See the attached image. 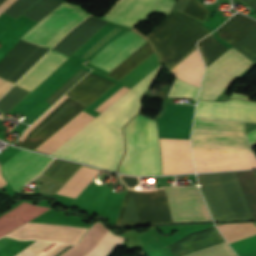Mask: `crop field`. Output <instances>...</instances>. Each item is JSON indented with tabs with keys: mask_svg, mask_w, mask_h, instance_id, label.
<instances>
[{
	"mask_svg": "<svg viewBox=\"0 0 256 256\" xmlns=\"http://www.w3.org/2000/svg\"><path fill=\"white\" fill-rule=\"evenodd\" d=\"M160 69L161 66L157 67L52 155L115 171L124 154L122 127L142 109L140 94Z\"/></svg>",
	"mask_w": 256,
	"mask_h": 256,
	"instance_id": "1",
	"label": "crop field"
},
{
	"mask_svg": "<svg viewBox=\"0 0 256 256\" xmlns=\"http://www.w3.org/2000/svg\"><path fill=\"white\" fill-rule=\"evenodd\" d=\"M191 146L252 152L244 122L195 118ZM192 148L197 172L256 168L253 153Z\"/></svg>",
	"mask_w": 256,
	"mask_h": 256,
	"instance_id": "2",
	"label": "crop field"
},
{
	"mask_svg": "<svg viewBox=\"0 0 256 256\" xmlns=\"http://www.w3.org/2000/svg\"><path fill=\"white\" fill-rule=\"evenodd\" d=\"M89 15L90 14L88 12L84 11L80 7L64 2L29 30L21 40L51 49L66 32ZM21 40H19L0 61V77L5 80H7L27 59V57L38 48V46ZM41 47L35 50L28 57L20 68L8 79V81L15 83L49 51V49ZM1 78L0 85L5 82V80ZM8 81L0 86V96H2L13 85V83Z\"/></svg>",
	"mask_w": 256,
	"mask_h": 256,
	"instance_id": "3",
	"label": "crop field"
},
{
	"mask_svg": "<svg viewBox=\"0 0 256 256\" xmlns=\"http://www.w3.org/2000/svg\"><path fill=\"white\" fill-rule=\"evenodd\" d=\"M174 9L202 22L209 12L197 0H178ZM209 33L201 23L172 11L149 37L169 70L196 47L197 40Z\"/></svg>",
	"mask_w": 256,
	"mask_h": 256,
	"instance_id": "4",
	"label": "crop field"
},
{
	"mask_svg": "<svg viewBox=\"0 0 256 256\" xmlns=\"http://www.w3.org/2000/svg\"><path fill=\"white\" fill-rule=\"evenodd\" d=\"M108 22L90 16L82 24L67 34L53 50L70 56L97 31ZM50 50L18 83L17 85L32 91L49 74H51L68 56ZM15 85L0 99V108L9 111L20 102L30 91Z\"/></svg>",
	"mask_w": 256,
	"mask_h": 256,
	"instance_id": "5",
	"label": "crop field"
},
{
	"mask_svg": "<svg viewBox=\"0 0 256 256\" xmlns=\"http://www.w3.org/2000/svg\"><path fill=\"white\" fill-rule=\"evenodd\" d=\"M126 154L119 171L134 175H161V160L155 121L136 116L124 129Z\"/></svg>",
	"mask_w": 256,
	"mask_h": 256,
	"instance_id": "6",
	"label": "crop field"
},
{
	"mask_svg": "<svg viewBox=\"0 0 256 256\" xmlns=\"http://www.w3.org/2000/svg\"><path fill=\"white\" fill-rule=\"evenodd\" d=\"M197 177L216 220L252 218L234 172Z\"/></svg>",
	"mask_w": 256,
	"mask_h": 256,
	"instance_id": "7",
	"label": "crop field"
},
{
	"mask_svg": "<svg viewBox=\"0 0 256 256\" xmlns=\"http://www.w3.org/2000/svg\"><path fill=\"white\" fill-rule=\"evenodd\" d=\"M121 178L129 188L139 185L138 177L121 175ZM165 194L162 188L151 191L127 188L116 224L172 222Z\"/></svg>",
	"mask_w": 256,
	"mask_h": 256,
	"instance_id": "8",
	"label": "crop field"
},
{
	"mask_svg": "<svg viewBox=\"0 0 256 256\" xmlns=\"http://www.w3.org/2000/svg\"><path fill=\"white\" fill-rule=\"evenodd\" d=\"M253 64L231 47L206 68L198 99L215 100L238 75Z\"/></svg>",
	"mask_w": 256,
	"mask_h": 256,
	"instance_id": "9",
	"label": "crop field"
},
{
	"mask_svg": "<svg viewBox=\"0 0 256 256\" xmlns=\"http://www.w3.org/2000/svg\"><path fill=\"white\" fill-rule=\"evenodd\" d=\"M68 96L64 95L55 105H53L43 116H41L31 127H29L19 139L23 142L28 133L36 127L45 117H47L57 106H59ZM87 106L68 97L58 108H56L47 118H45L35 129H33L26 140L20 146L34 150L52 134L64 126Z\"/></svg>",
	"mask_w": 256,
	"mask_h": 256,
	"instance_id": "10",
	"label": "crop field"
},
{
	"mask_svg": "<svg viewBox=\"0 0 256 256\" xmlns=\"http://www.w3.org/2000/svg\"><path fill=\"white\" fill-rule=\"evenodd\" d=\"M169 205L203 202L197 187H163ZM173 221L211 220L204 203L169 206Z\"/></svg>",
	"mask_w": 256,
	"mask_h": 256,
	"instance_id": "11",
	"label": "crop field"
},
{
	"mask_svg": "<svg viewBox=\"0 0 256 256\" xmlns=\"http://www.w3.org/2000/svg\"><path fill=\"white\" fill-rule=\"evenodd\" d=\"M52 158L21 150L2 165V174L16 190L36 178Z\"/></svg>",
	"mask_w": 256,
	"mask_h": 256,
	"instance_id": "12",
	"label": "crop field"
},
{
	"mask_svg": "<svg viewBox=\"0 0 256 256\" xmlns=\"http://www.w3.org/2000/svg\"><path fill=\"white\" fill-rule=\"evenodd\" d=\"M246 121L256 122V103L244 101ZM195 117L244 121L243 101H198Z\"/></svg>",
	"mask_w": 256,
	"mask_h": 256,
	"instance_id": "13",
	"label": "crop field"
},
{
	"mask_svg": "<svg viewBox=\"0 0 256 256\" xmlns=\"http://www.w3.org/2000/svg\"><path fill=\"white\" fill-rule=\"evenodd\" d=\"M106 231L107 229H105L100 223L97 222L93 224L81 242L79 241L80 243L78 245L73 246L61 256L85 255L94 248V246L100 241ZM123 241L124 238L118 237L107 231V233L96 245V247L85 256H108L113 251V249L120 245Z\"/></svg>",
	"mask_w": 256,
	"mask_h": 256,
	"instance_id": "14",
	"label": "crop field"
},
{
	"mask_svg": "<svg viewBox=\"0 0 256 256\" xmlns=\"http://www.w3.org/2000/svg\"><path fill=\"white\" fill-rule=\"evenodd\" d=\"M146 42L137 34L129 31L107 45L89 63L110 72Z\"/></svg>",
	"mask_w": 256,
	"mask_h": 256,
	"instance_id": "15",
	"label": "crop field"
},
{
	"mask_svg": "<svg viewBox=\"0 0 256 256\" xmlns=\"http://www.w3.org/2000/svg\"><path fill=\"white\" fill-rule=\"evenodd\" d=\"M163 174L195 172L189 140L159 138Z\"/></svg>",
	"mask_w": 256,
	"mask_h": 256,
	"instance_id": "16",
	"label": "crop field"
},
{
	"mask_svg": "<svg viewBox=\"0 0 256 256\" xmlns=\"http://www.w3.org/2000/svg\"><path fill=\"white\" fill-rule=\"evenodd\" d=\"M158 0H118L103 18L134 27L156 6Z\"/></svg>",
	"mask_w": 256,
	"mask_h": 256,
	"instance_id": "17",
	"label": "crop field"
},
{
	"mask_svg": "<svg viewBox=\"0 0 256 256\" xmlns=\"http://www.w3.org/2000/svg\"><path fill=\"white\" fill-rule=\"evenodd\" d=\"M219 231L230 243L256 234L253 223L223 224L218 226ZM238 255L256 249V235L230 243Z\"/></svg>",
	"mask_w": 256,
	"mask_h": 256,
	"instance_id": "18",
	"label": "crop field"
},
{
	"mask_svg": "<svg viewBox=\"0 0 256 256\" xmlns=\"http://www.w3.org/2000/svg\"><path fill=\"white\" fill-rule=\"evenodd\" d=\"M114 84L115 82L90 73L74 86L67 95L89 106Z\"/></svg>",
	"mask_w": 256,
	"mask_h": 256,
	"instance_id": "19",
	"label": "crop field"
},
{
	"mask_svg": "<svg viewBox=\"0 0 256 256\" xmlns=\"http://www.w3.org/2000/svg\"><path fill=\"white\" fill-rule=\"evenodd\" d=\"M93 118L95 117L82 111L35 150L50 154Z\"/></svg>",
	"mask_w": 256,
	"mask_h": 256,
	"instance_id": "20",
	"label": "crop field"
},
{
	"mask_svg": "<svg viewBox=\"0 0 256 256\" xmlns=\"http://www.w3.org/2000/svg\"><path fill=\"white\" fill-rule=\"evenodd\" d=\"M203 70L204 65L196 48L170 72L177 78L199 88Z\"/></svg>",
	"mask_w": 256,
	"mask_h": 256,
	"instance_id": "21",
	"label": "crop field"
},
{
	"mask_svg": "<svg viewBox=\"0 0 256 256\" xmlns=\"http://www.w3.org/2000/svg\"><path fill=\"white\" fill-rule=\"evenodd\" d=\"M255 26L256 21L236 13L231 19L217 29V35L234 45Z\"/></svg>",
	"mask_w": 256,
	"mask_h": 256,
	"instance_id": "22",
	"label": "crop field"
},
{
	"mask_svg": "<svg viewBox=\"0 0 256 256\" xmlns=\"http://www.w3.org/2000/svg\"><path fill=\"white\" fill-rule=\"evenodd\" d=\"M99 170L81 166L78 171L56 193L77 197L97 176Z\"/></svg>",
	"mask_w": 256,
	"mask_h": 256,
	"instance_id": "23",
	"label": "crop field"
},
{
	"mask_svg": "<svg viewBox=\"0 0 256 256\" xmlns=\"http://www.w3.org/2000/svg\"><path fill=\"white\" fill-rule=\"evenodd\" d=\"M253 218H256V175L253 170L235 172Z\"/></svg>",
	"mask_w": 256,
	"mask_h": 256,
	"instance_id": "24",
	"label": "crop field"
},
{
	"mask_svg": "<svg viewBox=\"0 0 256 256\" xmlns=\"http://www.w3.org/2000/svg\"><path fill=\"white\" fill-rule=\"evenodd\" d=\"M153 52L154 51L148 41L107 75L120 80Z\"/></svg>",
	"mask_w": 256,
	"mask_h": 256,
	"instance_id": "25",
	"label": "crop field"
},
{
	"mask_svg": "<svg viewBox=\"0 0 256 256\" xmlns=\"http://www.w3.org/2000/svg\"><path fill=\"white\" fill-rule=\"evenodd\" d=\"M198 48L202 54L206 67L228 49L215 39L213 33L199 41Z\"/></svg>",
	"mask_w": 256,
	"mask_h": 256,
	"instance_id": "26",
	"label": "crop field"
},
{
	"mask_svg": "<svg viewBox=\"0 0 256 256\" xmlns=\"http://www.w3.org/2000/svg\"><path fill=\"white\" fill-rule=\"evenodd\" d=\"M79 166V164L56 159L43 174L65 183Z\"/></svg>",
	"mask_w": 256,
	"mask_h": 256,
	"instance_id": "27",
	"label": "crop field"
},
{
	"mask_svg": "<svg viewBox=\"0 0 256 256\" xmlns=\"http://www.w3.org/2000/svg\"><path fill=\"white\" fill-rule=\"evenodd\" d=\"M62 3L59 0H40L23 15L38 22Z\"/></svg>",
	"mask_w": 256,
	"mask_h": 256,
	"instance_id": "28",
	"label": "crop field"
},
{
	"mask_svg": "<svg viewBox=\"0 0 256 256\" xmlns=\"http://www.w3.org/2000/svg\"><path fill=\"white\" fill-rule=\"evenodd\" d=\"M237 50L256 62V27L235 44Z\"/></svg>",
	"mask_w": 256,
	"mask_h": 256,
	"instance_id": "29",
	"label": "crop field"
},
{
	"mask_svg": "<svg viewBox=\"0 0 256 256\" xmlns=\"http://www.w3.org/2000/svg\"><path fill=\"white\" fill-rule=\"evenodd\" d=\"M183 256H236V254L224 241Z\"/></svg>",
	"mask_w": 256,
	"mask_h": 256,
	"instance_id": "30",
	"label": "crop field"
},
{
	"mask_svg": "<svg viewBox=\"0 0 256 256\" xmlns=\"http://www.w3.org/2000/svg\"><path fill=\"white\" fill-rule=\"evenodd\" d=\"M198 90V88L176 79L168 97H187L196 100Z\"/></svg>",
	"mask_w": 256,
	"mask_h": 256,
	"instance_id": "31",
	"label": "crop field"
},
{
	"mask_svg": "<svg viewBox=\"0 0 256 256\" xmlns=\"http://www.w3.org/2000/svg\"><path fill=\"white\" fill-rule=\"evenodd\" d=\"M88 72L79 69L71 76L55 93H53L46 101L51 106L60 96H62L69 88H71L78 80H80Z\"/></svg>",
	"mask_w": 256,
	"mask_h": 256,
	"instance_id": "32",
	"label": "crop field"
},
{
	"mask_svg": "<svg viewBox=\"0 0 256 256\" xmlns=\"http://www.w3.org/2000/svg\"><path fill=\"white\" fill-rule=\"evenodd\" d=\"M39 0H17L11 7H9L4 13L10 15L13 18L19 17L28 8L34 5Z\"/></svg>",
	"mask_w": 256,
	"mask_h": 256,
	"instance_id": "33",
	"label": "crop field"
},
{
	"mask_svg": "<svg viewBox=\"0 0 256 256\" xmlns=\"http://www.w3.org/2000/svg\"><path fill=\"white\" fill-rule=\"evenodd\" d=\"M54 243L52 242H44V241H36L20 253L15 256H36L38 253L43 251L45 248L49 247Z\"/></svg>",
	"mask_w": 256,
	"mask_h": 256,
	"instance_id": "34",
	"label": "crop field"
},
{
	"mask_svg": "<svg viewBox=\"0 0 256 256\" xmlns=\"http://www.w3.org/2000/svg\"><path fill=\"white\" fill-rule=\"evenodd\" d=\"M127 90H129V88L123 86L116 93H114L110 98H108L104 103H102L98 108H96V110L101 112L107 106H109L112 102H114L117 98H119L122 94H124Z\"/></svg>",
	"mask_w": 256,
	"mask_h": 256,
	"instance_id": "35",
	"label": "crop field"
},
{
	"mask_svg": "<svg viewBox=\"0 0 256 256\" xmlns=\"http://www.w3.org/2000/svg\"><path fill=\"white\" fill-rule=\"evenodd\" d=\"M174 3V0H160L158 6L155 8L154 11L163 14H168Z\"/></svg>",
	"mask_w": 256,
	"mask_h": 256,
	"instance_id": "36",
	"label": "crop field"
},
{
	"mask_svg": "<svg viewBox=\"0 0 256 256\" xmlns=\"http://www.w3.org/2000/svg\"><path fill=\"white\" fill-rule=\"evenodd\" d=\"M4 0H0V3H2ZM15 0H5L2 4H0V14L9 7Z\"/></svg>",
	"mask_w": 256,
	"mask_h": 256,
	"instance_id": "37",
	"label": "crop field"
},
{
	"mask_svg": "<svg viewBox=\"0 0 256 256\" xmlns=\"http://www.w3.org/2000/svg\"><path fill=\"white\" fill-rule=\"evenodd\" d=\"M247 138H248V141H249L250 146L253 145V144H255V142H256V131H254V132L248 134V135H247Z\"/></svg>",
	"mask_w": 256,
	"mask_h": 256,
	"instance_id": "38",
	"label": "crop field"
},
{
	"mask_svg": "<svg viewBox=\"0 0 256 256\" xmlns=\"http://www.w3.org/2000/svg\"><path fill=\"white\" fill-rule=\"evenodd\" d=\"M240 1L256 9V0H240Z\"/></svg>",
	"mask_w": 256,
	"mask_h": 256,
	"instance_id": "39",
	"label": "crop field"
},
{
	"mask_svg": "<svg viewBox=\"0 0 256 256\" xmlns=\"http://www.w3.org/2000/svg\"><path fill=\"white\" fill-rule=\"evenodd\" d=\"M233 97L249 100V98H250L251 96H244V95H240V94L233 93V94H232V98H233Z\"/></svg>",
	"mask_w": 256,
	"mask_h": 256,
	"instance_id": "40",
	"label": "crop field"
},
{
	"mask_svg": "<svg viewBox=\"0 0 256 256\" xmlns=\"http://www.w3.org/2000/svg\"><path fill=\"white\" fill-rule=\"evenodd\" d=\"M6 182H5V180L2 178V176H1V174H0V187L2 186V185H4Z\"/></svg>",
	"mask_w": 256,
	"mask_h": 256,
	"instance_id": "41",
	"label": "crop field"
}]
</instances>
